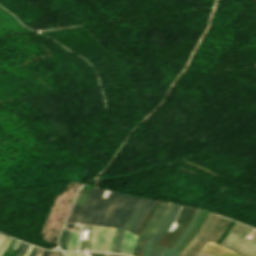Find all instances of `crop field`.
Here are the masks:
<instances>
[{"label": "crop field", "mask_w": 256, "mask_h": 256, "mask_svg": "<svg viewBox=\"0 0 256 256\" xmlns=\"http://www.w3.org/2000/svg\"><path fill=\"white\" fill-rule=\"evenodd\" d=\"M201 210L197 209L187 230L185 231V233L182 235V237L178 240V242L174 245V247L172 249L167 248L164 255L163 256H178L180 252H176V248L178 247V245L181 243V241L185 238V236L188 234V232L191 230V228L193 227L199 213Z\"/></svg>", "instance_id": "crop-field-10"}, {"label": "crop field", "mask_w": 256, "mask_h": 256, "mask_svg": "<svg viewBox=\"0 0 256 256\" xmlns=\"http://www.w3.org/2000/svg\"><path fill=\"white\" fill-rule=\"evenodd\" d=\"M148 202H149L148 199L141 198L140 202L136 206L135 210L133 211V213L130 216L129 220L125 224L124 228L120 230L115 252L119 253L121 242H122V238H123L124 229H128V230L131 231V229L134 227V225L136 224L137 220L141 216L142 212L144 211V209H145L146 205L148 204Z\"/></svg>", "instance_id": "crop-field-7"}, {"label": "crop field", "mask_w": 256, "mask_h": 256, "mask_svg": "<svg viewBox=\"0 0 256 256\" xmlns=\"http://www.w3.org/2000/svg\"><path fill=\"white\" fill-rule=\"evenodd\" d=\"M105 256H110V254H105Z\"/></svg>", "instance_id": "crop-field-24"}, {"label": "crop field", "mask_w": 256, "mask_h": 256, "mask_svg": "<svg viewBox=\"0 0 256 256\" xmlns=\"http://www.w3.org/2000/svg\"><path fill=\"white\" fill-rule=\"evenodd\" d=\"M36 251H37V247H34L30 256H35Z\"/></svg>", "instance_id": "crop-field-20"}, {"label": "crop field", "mask_w": 256, "mask_h": 256, "mask_svg": "<svg viewBox=\"0 0 256 256\" xmlns=\"http://www.w3.org/2000/svg\"><path fill=\"white\" fill-rule=\"evenodd\" d=\"M111 256H122V255H115V254H111Z\"/></svg>", "instance_id": "crop-field-23"}, {"label": "crop field", "mask_w": 256, "mask_h": 256, "mask_svg": "<svg viewBox=\"0 0 256 256\" xmlns=\"http://www.w3.org/2000/svg\"><path fill=\"white\" fill-rule=\"evenodd\" d=\"M238 230L236 234L233 230ZM252 228L236 222L221 245L235 250L244 256H256V235L252 241L243 240Z\"/></svg>", "instance_id": "crop-field-3"}, {"label": "crop field", "mask_w": 256, "mask_h": 256, "mask_svg": "<svg viewBox=\"0 0 256 256\" xmlns=\"http://www.w3.org/2000/svg\"><path fill=\"white\" fill-rule=\"evenodd\" d=\"M80 233V227L76 226L75 231H71L69 250H77V242Z\"/></svg>", "instance_id": "crop-field-11"}, {"label": "crop field", "mask_w": 256, "mask_h": 256, "mask_svg": "<svg viewBox=\"0 0 256 256\" xmlns=\"http://www.w3.org/2000/svg\"><path fill=\"white\" fill-rule=\"evenodd\" d=\"M42 256H60L59 252L44 250Z\"/></svg>", "instance_id": "crop-field-16"}, {"label": "crop field", "mask_w": 256, "mask_h": 256, "mask_svg": "<svg viewBox=\"0 0 256 256\" xmlns=\"http://www.w3.org/2000/svg\"><path fill=\"white\" fill-rule=\"evenodd\" d=\"M31 248H32V246H30V248L28 249V251H27V253L25 254V256L28 255V253L30 252Z\"/></svg>", "instance_id": "crop-field-22"}, {"label": "crop field", "mask_w": 256, "mask_h": 256, "mask_svg": "<svg viewBox=\"0 0 256 256\" xmlns=\"http://www.w3.org/2000/svg\"><path fill=\"white\" fill-rule=\"evenodd\" d=\"M152 244H153L152 241H149V240L147 241V244H146V247H145V250H144L142 256H148L149 255V252L151 250Z\"/></svg>", "instance_id": "crop-field-15"}, {"label": "crop field", "mask_w": 256, "mask_h": 256, "mask_svg": "<svg viewBox=\"0 0 256 256\" xmlns=\"http://www.w3.org/2000/svg\"><path fill=\"white\" fill-rule=\"evenodd\" d=\"M7 239H8V237L6 238L5 242L7 241ZM10 241H11V238L8 239V241L6 242V244H5V242L3 243V245L5 244V246L3 247V245H2L3 249H2V251H1V253H0V255L3 253V251L5 250V248L7 247V245L9 244ZM2 247H1V248H2ZM1 248H0V250H1Z\"/></svg>", "instance_id": "crop-field-19"}, {"label": "crop field", "mask_w": 256, "mask_h": 256, "mask_svg": "<svg viewBox=\"0 0 256 256\" xmlns=\"http://www.w3.org/2000/svg\"><path fill=\"white\" fill-rule=\"evenodd\" d=\"M178 209H179V206L173 205L169 215L167 216L165 221L162 223V225L160 226V228L158 229V231L156 232V234L152 238V240L155 242V244H154L153 249L150 253V256H161L162 255L165 248L158 245L157 243L159 242V240L162 238L164 233L169 228V226H170L172 220L174 219Z\"/></svg>", "instance_id": "crop-field-6"}, {"label": "crop field", "mask_w": 256, "mask_h": 256, "mask_svg": "<svg viewBox=\"0 0 256 256\" xmlns=\"http://www.w3.org/2000/svg\"><path fill=\"white\" fill-rule=\"evenodd\" d=\"M4 239H5V236H3V235L0 234V246L2 245Z\"/></svg>", "instance_id": "crop-field-21"}, {"label": "crop field", "mask_w": 256, "mask_h": 256, "mask_svg": "<svg viewBox=\"0 0 256 256\" xmlns=\"http://www.w3.org/2000/svg\"><path fill=\"white\" fill-rule=\"evenodd\" d=\"M114 228L94 226L90 251H109Z\"/></svg>", "instance_id": "crop-field-5"}, {"label": "crop field", "mask_w": 256, "mask_h": 256, "mask_svg": "<svg viewBox=\"0 0 256 256\" xmlns=\"http://www.w3.org/2000/svg\"><path fill=\"white\" fill-rule=\"evenodd\" d=\"M65 256H85V253L65 252Z\"/></svg>", "instance_id": "crop-field-18"}, {"label": "crop field", "mask_w": 256, "mask_h": 256, "mask_svg": "<svg viewBox=\"0 0 256 256\" xmlns=\"http://www.w3.org/2000/svg\"><path fill=\"white\" fill-rule=\"evenodd\" d=\"M77 193H78V192H77ZM86 198H87V194H83V193H80V192H79V193L76 195V199H75V202H74V203L83 205L84 202H85V200H86Z\"/></svg>", "instance_id": "crop-field-14"}, {"label": "crop field", "mask_w": 256, "mask_h": 256, "mask_svg": "<svg viewBox=\"0 0 256 256\" xmlns=\"http://www.w3.org/2000/svg\"><path fill=\"white\" fill-rule=\"evenodd\" d=\"M201 250L215 256H241L221 245L212 242H208Z\"/></svg>", "instance_id": "crop-field-8"}, {"label": "crop field", "mask_w": 256, "mask_h": 256, "mask_svg": "<svg viewBox=\"0 0 256 256\" xmlns=\"http://www.w3.org/2000/svg\"><path fill=\"white\" fill-rule=\"evenodd\" d=\"M171 207H172V204H167V203L161 202V204L157 208L156 212L154 213V215L152 216V218L146 225L145 229L141 233V235L137 241V244H136V248H135V251L133 254L134 256L137 253V250H138V247H139L142 237H145V238L151 240V238L153 237V235L155 234V232L157 231V229L159 228V226L161 225L163 220L168 215Z\"/></svg>", "instance_id": "crop-field-4"}, {"label": "crop field", "mask_w": 256, "mask_h": 256, "mask_svg": "<svg viewBox=\"0 0 256 256\" xmlns=\"http://www.w3.org/2000/svg\"><path fill=\"white\" fill-rule=\"evenodd\" d=\"M28 247H29V245L24 243V245L22 246V248L19 251V253L17 254V256H24V254L26 253Z\"/></svg>", "instance_id": "crop-field-17"}, {"label": "crop field", "mask_w": 256, "mask_h": 256, "mask_svg": "<svg viewBox=\"0 0 256 256\" xmlns=\"http://www.w3.org/2000/svg\"><path fill=\"white\" fill-rule=\"evenodd\" d=\"M69 233H70V231L63 229L59 236V245L63 249H67Z\"/></svg>", "instance_id": "crop-field-12"}, {"label": "crop field", "mask_w": 256, "mask_h": 256, "mask_svg": "<svg viewBox=\"0 0 256 256\" xmlns=\"http://www.w3.org/2000/svg\"><path fill=\"white\" fill-rule=\"evenodd\" d=\"M60 254H61V256H63V253L60 252Z\"/></svg>", "instance_id": "crop-field-25"}, {"label": "crop field", "mask_w": 256, "mask_h": 256, "mask_svg": "<svg viewBox=\"0 0 256 256\" xmlns=\"http://www.w3.org/2000/svg\"><path fill=\"white\" fill-rule=\"evenodd\" d=\"M137 237L138 236H136L135 234H132L125 230L120 252L132 255L135 243L137 241Z\"/></svg>", "instance_id": "crop-field-9"}, {"label": "crop field", "mask_w": 256, "mask_h": 256, "mask_svg": "<svg viewBox=\"0 0 256 256\" xmlns=\"http://www.w3.org/2000/svg\"><path fill=\"white\" fill-rule=\"evenodd\" d=\"M154 203L153 200H150L148 206L146 207L145 211L143 212L142 216L140 217V219L138 220L137 224L135 225V227L132 229V233H135V231L137 230L138 226L140 225V223L142 222V220L144 219L145 215L147 214V212L149 211V209L151 208L152 204Z\"/></svg>", "instance_id": "crop-field-13"}, {"label": "crop field", "mask_w": 256, "mask_h": 256, "mask_svg": "<svg viewBox=\"0 0 256 256\" xmlns=\"http://www.w3.org/2000/svg\"><path fill=\"white\" fill-rule=\"evenodd\" d=\"M230 223L231 220L209 213L199 233L180 256H193L209 240L217 243Z\"/></svg>", "instance_id": "crop-field-2"}, {"label": "crop field", "mask_w": 256, "mask_h": 256, "mask_svg": "<svg viewBox=\"0 0 256 256\" xmlns=\"http://www.w3.org/2000/svg\"><path fill=\"white\" fill-rule=\"evenodd\" d=\"M103 192L93 187L84 206L74 204L66 221L123 228L140 198L111 191L104 199Z\"/></svg>", "instance_id": "crop-field-1"}]
</instances>
